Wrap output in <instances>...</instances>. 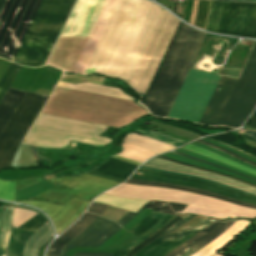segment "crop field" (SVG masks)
<instances>
[{"label":"crop field","instance_id":"1","mask_svg":"<svg viewBox=\"0 0 256 256\" xmlns=\"http://www.w3.org/2000/svg\"><path fill=\"white\" fill-rule=\"evenodd\" d=\"M207 34L181 23L143 103L166 117Z\"/></svg>","mask_w":256,"mask_h":256},{"label":"crop field","instance_id":"2","mask_svg":"<svg viewBox=\"0 0 256 256\" xmlns=\"http://www.w3.org/2000/svg\"><path fill=\"white\" fill-rule=\"evenodd\" d=\"M219 75L191 69L168 116L198 122ZM237 79L221 76L198 123L214 126Z\"/></svg>","mask_w":256,"mask_h":256},{"label":"crop field","instance_id":"3","mask_svg":"<svg viewBox=\"0 0 256 256\" xmlns=\"http://www.w3.org/2000/svg\"><path fill=\"white\" fill-rule=\"evenodd\" d=\"M75 0H43L15 56L26 64L45 63Z\"/></svg>","mask_w":256,"mask_h":256},{"label":"crop field","instance_id":"4","mask_svg":"<svg viewBox=\"0 0 256 256\" xmlns=\"http://www.w3.org/2000/svg\"><path fill=\"white\" fill-rule=\"evenodd\" d=\"M41 0H3L0 6V55L14 58Z\"/></svg>","mask_w":256,"mask_h":256},{"label":"crop field","instance_id":"5","mask_svg":"<svg viewBox=\"0 0 256 256\" xmlns=\"http://www.w3.org/2000/svg\"><path fill=\"white\" fill-rule=\"evenodd\" d=\"M226 6L211 1L205 30L223 33ZM224 34L256 39V4L228 2Z\"/></svg>","mask_w":256,"mask_h":256},{"label":"crop field","instance_id":"6","mask_svg":"<svg viewBox=\"0 0 256 256\" xmlns=\"http://www.w3.org/2000/svg\"><path fill=\"white\" fill-rule=\"evenodd\" d=\"M256 106V43L216 125L237 128Z\"/></svg>","mask_w":256,"mask_h":256},{"label":"crop field","instance_id":"7","mask_svg":"<svg viewBox=\"0 0 256 256\" xmlns=\"http://www.w3.org/2000/svg\"><path fill=\"white\" fill-rule=\"evenodd\" d=\"M47 96L26 92L0 134V168H8L19 143Z\"/></svg>","mask_w":256,"mask_h":256},{"label":"crop field","instance_id":"8","mask_svg":"<svg viewBox=\"0 0 256 256\" xmlns=\"http://www.w3.org/2000/svg\"><path fill=\"white\" fill-rule=\"evenodd\" d=\"M57 186L30 199L50 200L59 204L67 203L74 196L91 201L98 194L120 184L107 179L82 174L46 180Z\"/></svg>","mask_w":256,"mask_h":256},{"label":"crop field","instance_id":"9","mask_svg":"<svg viewBox=\"0 0 256 256\" xmlns=\"http://www.w3.org/2000/svg\"><path fill=\"white\" fill-rule=\"evenodd\" d=\"M136 172L144 173L143 175L136 174ZM130 178L140 179V180H148V181H156V182H169L174 184H179L187 187L198 188L206 191L215 192L221 195H225L231 198H235L241 201L249 202L252 204H256V197L249 196L247 194H243L234 190H230L218 185H215L211 182L192 179L188 177H183L179 175H172L160 172L149 171L145 169L138 168Z\"/></svg>","mask_w":256,"mask_h":256},{"label":"crop field","instance_id":"10","mask_svg":"<svg viewBox=\"0 0 256 256\" xmlns=\"http://www.w3.org/2000/svg\"><path fill=\"white\" fill-rule=\"evenodd\" d=\"M18 203L33 205L44 211L52 220L57 234L73 223L89 204L88 201L76 197L64 206L38 201H23Z\"/></svg>","mask_w":256,"mask_h":256},{"label":"crop field","instance_id":"11","mask_svg":"<svg viewBox=\"0 0 256 256\" xmlns=\"http://www.w3.org/2000/svg\"><path fill=\"white\" fill-rule=\"evenodd\" d=\"M213 220H208L201 226H197L194 228L186 229L183 231H180L178 233L166 236L170 232H172L174 229L182 225L184 222L183 219L180 220L178 223H176L174 226H172L170 229H168L165 233H163L160 237H158L156 240H154L152 243L147 245L144 249H142L139 253H137L135 256H164L167 253H169L171 250L176 248L177 246L184 243L186 240L191 238L193 235H195L199 230L204 228L206 225H208ZM162 243L161 245H159ZM159 245L158 247H156ZM156 247L155 249H153ZM151 250L150 252L148 250Z\"/></svg>","mask_w":256,"mask_h":256},{"label":"crop field","instance_id":"12","mask_svg":"<svg viewBox=\"0 0 256 256\" xmlns=\"http://www.w3.org/2000/svg\"><path fill=\"white\" fill-rule=\"evenodd\" d=\"M120 229L122 228L115 222L99 217L66 246L62 256H65L68 248L100 246Z\"/></svg>","mask_w":256,"mask_h":256},{"label":"crop field","instance_id":"13","mask_svg":"<svg viewBox=\"0 0 256 256\" xmlns=\"http://www.w3.org/2000/svg\"><path fill=\"white\" fill-rule=\"evenodd\" d=\"M98 216L85 212L81 219L56 238L51 244L47 256H60L66 244L87 228Z\"/></svg>","mask_w":256,"mask_h":256},{"label":"crop field","instance_id":"14","mask_svg":"<svg viewBox=\"0 0 256 256\" xmlns=\"http://www.w3.org/2000/svg\"><path fill=\"white\" fill-rule=\"evenodd\" d=\"M146 164H151V165H156V166H161V167H165V168H170V169H175V170H180V171H185V172H190V173H194V174H198V175H202V176H206V177H210V178H214V179H218L221 181H224L226 183L238 186L240 188L252 191L256 193V188L249 186L247 184H244L240 181L237 180H233L227 177H223L220 175H216V174H212V173H208V172H204L201 170H197V169H193V168H189V167H185L179 164H175L163 159H159V158H152L151 160L145 162Z\"/></svg>","mask_w":256,"mask_h":256},{"label":"crop field","instance_id":"15","mask_svg":"<svg viewBox=\"0 0 256 256\" xmlns=\"http://www.w3.org/2000/svg\"><path fill=\"white\" fill-rule=\"evenodd\" d=\"M138 167V165L130 164L110 157L105 163L98 166L91 172L103 174L116 179L125 181L126 178Z\"/></svg>","mask_w":256,"mask_h":256},{"label":"crop field","instance_id":"16","mask_svg":"<svg viewBox=\"0 0 256 256\" xmlns=\"http://www.w3.org/2000/svg\"><path fill=\"white\" fill-rule=\"evenodd\" d=\"M25 92L9 88L0 103V132L22 99Z\"/></svg>","mask_w":256,"mask_h":256},{"label":"crop field","instance_id":"17","mask_svg":"<svg viewBox=\"0 0 256 256\" xmlns=\"http://www.w3.org/2000/svg\"><path fill=\"white\" fill-rule=\"evenodd\" d=\"M126 183L139 184V185H151V186H159V187H164V188L179 189V190H183V191H187V192L206 195V196L213 197V198H216V199H220V200H224V201H228V202H232V203H235V204H239V205H243V206H246V207L256 209V205L241 202V201L231 199V198H228V197H225V196H221V195H218V194H214V193H210V192H206V191H201V190H197V189H192V188H187V187H183V186H178V185H174V184L155 183V182H147V181H140V180H133V179L127 180Z\"/></svg>","mask_w":256,"mask_h":256},{"label":"crop field","instance_id":"18","mask_svg":"<svg viewBox=\"0 0 256 256\" xmlns=\"http://www.w3.org/2000/svg\"><path fill=\"white\" fill-rule=\"evenodd\" d=\"M52 235L50 224L47 222L31 236L25 246L23 256H38L40 247Z\"/></svg>","mask_w":256,"mask_h":256},{"label":"crop field","instance_id":"19","mask_svg":"<svg viewBox=\"0 0 256 256\" xmlns=\"http://www.w3.org/2000/svg\"><path fill=\"white\" fill-rule=\"evenodd\" d=\"M95 202L108 204L120 208H124L128 211L136 213L146 202L144 200H132V199H124V198H117L108 195H100L97 199L94 200Z\"/></svg>","mask_w":256,"mask_h":256},{"label":"crop field","instance_id":"20","mask_svg":"<svg viewBox=\"0 0 256 256\" xmlns=\"http://www.w3.org/2000/svg\"><path fill=\"white\" fill-rule=\"evenodd\" d=\"M13 206L0 210V256H7L6 247L10 235Z\"/></svg>","mask_w":256,"mask_h":256},{"label":"crop field","instance_id":"21","mask_svg":"<svg viewBox=\"0 0 256 256\" xmlns=\"http://www.w3.org/2000/svg\"><path fill=\"white\" fill-rule=\"evenodd\" d=\"M167 216H168V214L152 211L136 227H134L129 232L140 237L145 232H147L152 227H154L159 222H161Z\"/></svg>","mask_w":256,"mask_h":256},{"label":"crop field","instance_id":"22","mask_svg":"<svg viewBox=\"0 0 256 256\" xmlns=\"http://www.w3.org/2000/svg\"><path fill=\"white\" fill-rule=\"evenodd\" d=\"M182 148H185V149H187V150H190V151H193V152L202 154V155H204V156H207V157H210V158H212V159L218 160V161H220V162H222V163H225V164H227V165H229V166H231V167H234V168H237V169L243 170V171H245V172H248V173H251V174L256 175V171H254V170H252V169H250V168H247V167H245V166H243V165H240V164H238V163H236V162H234V161H232V160H230V159H227V158H225V157H222V156L217 155V154H215V153H212V152H210V151H207V150L198 148V147L193 146V145H191V144H188V145H186V146H183Z\"/></svg>","mask_w":256,"mask_h":256},{"label":"crop field","instance_id":"23","mask_svg":"<svg viewBox=\"0 0 256 256\" xmlns=\"http://www.w3.org/2000/svg\"><path fill=\"white\" fill-rule=\"evenodd\" d=\"M37 165L31 151V147L21 144L11 166L27 167Z\"/></svg>","mask_w":256,"mask_h":256},{"label":"crop field","instance_id":"24","mask_svg":"<svg viewBox=\"0 0 256 256\" xmlns=\"http://www.w3.org/2000/svg\"><path fill=\"white\" fill-rule=\"evenodd\" d=\"M187 205H180L171 202H157L151 201L143 206V208L160 211L168 214L177 215L181 212Z\"/></svg>","mask_w":256,"mask_h":256},{"label":"crop field","instance_id":"25","mask_svg":"<svg viewBox=\"0 0 256 256\" xmlns=\"http://www.w3.org/2000/svg\"><path fill=\"white\" fill-rule=\"evenodd\" d=\"M180 219V217H175L173 220H171L170 222H168L166 225H164L162 228H160L157 232H155L153 235H151L150 237H148L146 240H144L143 242H141L140 244H138L136 247H134L127 256H133L135 255V253L139 250H141L143 247H145L147 244H149L151 241H153L156 237H158L159 235H161L164 231H166L168 228H170L172 225H174L176 222H178Z\"/></svg>","mask_w":256,"mask_h":256},{"label":"crop field","instance_id":"26","mask_svg":"<svg viewBox=\"0 0 256 256\" xmlns=\"http://www.w3.org/2000/svg\"><path fill=\"white\" fill-rule=\"evenodd\" d=\"M20 68V65L11 63L10 67L8 68L2 80L0 81V99L4 95L6 89L8 88V86L10 85L11 81L13 80V78L15 77Z\"/></svg>","mask_w":256,"mask_h":256},{"label":"crop field","instance_id":"27","mask_svg":"<svg viewBox=\"0 0 256 256\" xmlns=\"http://www.w3.org/2000/svg\"><path fill=\"white\" fill-rule=\"evenodd\" d=\"M220 222H222V221L215 220L209 226H207L205 229L199 231L195 236H193L191 239L186 241L184 244H182L181 246H179L178 248H176L175 250H173L172 252H170L166 256H173V255H175L176 253H178L179 251H181L182 249H184L185 247H187L188 245H190L191 243H193L194 241H196L200 237H202L205 234H207L209 231H211Z\"/></svg>","mask_w":256,"mask_h":256},{"label":"crop field","instance_id":"28","mask_svg":"<svg viewBox=\"0 0 256 256\" xmlns=\"http://www.w3.org/2000/svg\"><path fill=\"white\" fill-rule=\"evenodd\" d=\"M175 216L173 215H169L167 218H165L161 223H159L157 226H155L153 229H151L150 231H148L147 233H145L143 236H141L139 239H137L136 241H134L131 245H129L128 247H126L119 256H126L127 253L138 243H140L141 241H143L144 239H146L148 236H150L152 233H154L155 231H157L161 226H163L164 224H166L168 221H170L171 219H173Z\"/></svg>","mask_w":256,"mask_h":256},{"label":"crop field","instance_id":"29","mask_svg":"<svg viewBox=\"0 0 256 256\" xmlns=\"http://www.w3.org/2000/svg\"><path fill=\"white\" fill-rule=\"evenodd\" d=\"M16 181H0V198L13 201Z\"/></svg>","mask_w":256,"mask_h":256},{"label":"crop field","instance_id":"30","mask_svg":"<svg viewBox=\"0 0 256 256\" xmlns=\"http://www.w3.org/2000/svg\"><path fill=\"white\" fill-rule=\"evenodd\" d=\"M135 132L144 134V135H146L148 137H152V138L161 140L163 142L169 143V144L174 145L176 147H179V146H181V145L186 143V142H183V141H180V140H177V139H173V138L167 137V136L162 135L160 133H157V132H155L153 130H151L149 133H147V132H144V131L136 129Z\"/></svg>","mask_w":256,"mask_h":256},{"label":"crop field","instance_id":"31","mask_svg":"<svg viewBox=\"0 0 256 256\" xmlns=\"http://www.w3.org/2000/svg\"><path fill=\"white\" fill-rule=\"evenodd\" d=\"M234 222H236V220H230L224 227H222L219 231H217L215 234H213L212 236H210L208 239H206L205 241H203L202 243H200L198 246H196L195 248H193L192 250L188 251L187 253H185L182 256H190L192 254H194L195 252H197L198 250H200L202 247H204L205 245H207L208 243H210L212 240H214L216 237H218L222 232H224L229 226H231Z\"/></svg>","mask_w":256,"mask_h":256},{"label":"crop field","instance_id":"32","mask_svg":"<svg viewBox=\"0 0 256 256\" xmlns=\"http://www.w3.org/2000/svg\"><path fill=\"white\" fill-rule=\"evenodd\" d=\"M209 139L214 140V141H218V142H221V143H224V144L229 145V146H231L233 148H236V149H238V150H240L242 152H245V153H247V154H249L251 156L256 157V155L252 154L251 152H249V151H247V150H245V149H243V148L233 144L232 142L234 140H236V138H233V137H231V136H229L227 134L209 137Z\"/></svg>","mask_w":256,"mask_h":256},{"label":"crop field","instance_id":"33","mask_svg":"<svg viewBox=\"0 0 256 256\" xmlns=\"http://www.w3.org/2000/svg\"><path fill=\"white\" fill-rule=\"evenodd\" d=\"M229 221V220H228ZM228 221H224L221 224H219L217 227H215L210 233H208L207 235H205L204 237H202L201 239L197 240L196 242H194L193 244H191L190 246H188L187 248H185L184 250H182L181 252H179L178 254H176L175 256H180L183 253L187 252L188 250H190L191 248L195 247L196 245H198L200 242H202L203 240H205L207 237H209L210 235H212L213 233H215L217 230H219L223 225H225Z\"/></svg>","mask_w":256,"mask_h":256},{"label":"crop field","instance_id":"34","mask_svg":"<svg viewBox=\"0 0 256 256\" xmlns=\"http://www.w3.org/2000/svg\"><path fill=\"white\" fill-rule=\"evenodd\" d=\"M31 235V232L23 231L21 237L19 236L20 239L16 245V256H22L24 245Z\"/></svg>","mask_w":256,"mask_h":256},{"label":"crop field","instance_id":"35","mask_svg":"<svg viewBox=\"0 0 256 256\" xmlns=\"http://www.w3.org/2000/svg\"><path fill=\"white\" fill-rule=\"evenodd\" d=\"M43 179H44L43 177H34V178H26V179L18 180L17 185H16V189L23 188L25 186L36 183V182L41 181Z\"/></svg>","mask_w":256,"mask_h":256},{"label":"crop field","instance_id":"36","mask_svg":"<svg viewBox=\"0 0 256 256\" xmlns=\"http://www.w3.org/2000/svg\"><path fill=\"white\" fill-rule=\"evenodd\" d=\"M157 157L163 158V159H166V160L175 162V163H179V164H182V165H185V166H189V167L201 169V170H204V171H208V172L220 174V175H223V176H227V175H224V174H221V173H217V172H214V171H211V170H207V169H204V168H200V167H197V166H193V165H190V164H186V163H183V162H179V161H176V160H172V159H169V158H166V157H162V156H157ZM227 177H230V176H227ZM230 178L237 179V178H234V177H230ZM237 180H240V179H237ZM240 181H242V180H240ZM242 182L247 183V182H245V181H242ZM247 184L252 185V184H250V183H247ZM252 186L256 187L255 185H252Z\"/></svg>","mask_w":256,"mask_h":256},{"label":"crop field","instance_id":"37","mask_svg":"<svg viewBox=\"0 0 256 256\" xmlns=\"http://www.w3.org/2000/svg\"><path fill=\"white\" fill-rule=\"evenodd\" d=\"M171 153H174V154H177V155H181V156H184V157H187V158H190V159H193V160L199 161V162H203V163H206V164H209V165H212V166H215V167H219V168H222V169H225V170L231 171V172H233V173H236V174H239V175L245 176V175H243V174H240V173H238V172H235V171L229 170V169L224 168V167H221V166H219V165H216V164H213V163H210V162H207V161H204V160L198 159V158H194V157H191V156H188V155H185V154H182V153L176 152V151H173V152H171ZM245 177H247V176H245ZM248 178H250V177H248ZM250 179H252V178H250ZM253 180H255V179H253Z\"/></svg>","mask_w":256,"mask_h":256},{"label":"crop field","instance_id":"38","mask_svg":"<svg viewBox=\"0 0 256 256\" xmlns=\"http://www.w3.org/2000/svg\"><path fill=\"white\" fill-rule=\"evenodd\" d=\"M107 207H108L107 205L92 202V204L90 205L87 211H92L100 215L102 212H104L107 209Z\"/></svg>","mask_w":256,"mask_h":256},{"label":"crop field","instance_id":"39","mask_svg":"<svg viewBox=\"0 0 256 256\" xmlns=\"http://www.w3.org/2000/svg\"><path fill=\"white\" fill-rule=\"evenodd\" d=\"M197 141L202 142V143H204V144H207V145H209V146H211V147H214V148H216V149H219V150H221V151H223V152H225V153H227V154H229V155H231V156H233V157H235V158H237V159H239V160H241V161H243V162H246V163L251 164V165H253V166L256 167V164H254V163H252V162H250V161H248V160H246V159H244V158H242V157H240V156H238V155H236V154H234V153H231V152H229V151H227V150H225V149L219 148V147H217V146L211 145V144L206 143V142H203V141H201V140H197Z\"/></svg>","mask_w":256,"mask_h":256},{"label":"crop field","instance_id":"40","mask_svg":"<svg viewBox=\"0 0 256 256\" xmlns=\"http://www.w3.org/2000/svg\"><path fill=\"white\" fill-rule=\"evenodd\" d=\"M140 167H141V168H145V169H149V170L161 171V170L151 169V168H147V167H143V166H140ZM161 172H167V171H161ZM168 173L186 175V174L175 173V172H168ZM187 176H191V175H187ZM192 177H196V176H192ZM196 178H200V177H196ZM200 179H204V178H200ZM204 180H207V179H204ZM208 181H211V180H208ZM211 182H213V183H215V184H218V185L225 186V187H229V188H232V189H236V188H233V187H230V186H227V185H224V184L215 182V181H211ZM236 190H239V189H236ZM239 191L244 192V193H247V194H250V195H253V196H256V195H254V194H251V193H248V192H245V191H242V190H239Z\"/></svg>","mask_w":256,"mask_h":256},{"label":"crop field","instance_id":"41","mask_svg":"<svg viewBox=\"0 0 256 256\" xmlns=\"http://www.w3.org/2000/svg\"><path fill=\"white\" fill-rule=\"evenodd\" d=\"M163 123H168V124H171V125H174V126L183 128V129H185V130H188V131L197 133V134H199V135H201V136L207 135V134H204V133H202V132H200V131H198V130H196L195 128L190 127V126H185V125H180V124H175V123H170V122H163Z\"/></svg>","mask_w":256,"mask_h":256},{"label":"crop field","instance_id":"42","mask_svg":"<svg viewBox=\"0 0 256 256\" xmlns=\"http://www.w3.org/2000/svg\"><path fill=\"white\" fill-rule=\"evenodd\" d=\"M142 208L136 213L129 212L122 220H120L118 223L123 227L127 222H129L135 215H137Z\"/></svg>","mask_w":256,"mask_h":256},{"label":"crop field","instance_id":"43","mask_svg":"<svg viewBox=\"0 0 256 256\" xmlns=\"http://www.w3.org/2000/svg\"><path fill=\"white\" fill-rule=\"evenodd\" d=\"M74 256H112L106 253H76Z\"/></svg>","mask_w":256,"mask_h":256},{"label":"crop field","instance_id":"44","mask_svg":"<svg viewBox=\"0 0 256 256\" xmlns=\"http://www.w3.org/2000/svg\"><path fill=\"white\" fill-rule=\"evenodd\" d=\"M143 166H147V167H151V168H156V169H161V170H167V171H175V170H170V169H165V168H160V167H156V166H151V165H146V164H143ZM175 172H180V171H175ZM181 173H185V172H181ZM186 174H189V173H186ZM191 175H193V174H191ZM197 176V175H196ZM201 177V176H200ZM205 178V177H204ZM207 179H209V178H207ZM211 180H213V179H211ZM215 181H217V180H215ZM218 182H221V181H218ZM221 183H224V182H221ZM224 184H226V183H224ZM227 185H229V184H227ZM230 186H232V185H230ZM233 187H235V186H233ZM236 188H238V187H236ZM240 189V188H239ZM243 190V189H242ZM246 191V190H245ZM249 192V191H248ZM252 193V192H251ZM255 194V193H254Z\"/></svg>","mask_w":256,"mask_h":256},{"label":"crop field","instance_id":"45","mask_svg":"<svg viewBox=\"0 0 256 256\" xmlns=\"http://www.w3.org/2000/svg\"><path fill=\"white\" fill-rule=\"evenodd\" d=\"M241 134L256 141V133L255 132L241 131Z\"/></svg>","mask_w":256,"mask_h":256},{"label":"crop field","instance_id":"46","mask_svg":"<svg viewBox=\"0 0 256 256\" xmlns=\"http://www.w3.org/2000/svg\"><path fill=\"white\" fill-rule=\"evenodd\" d=\"M250 126L256 127V112L253 114Z\"/></svg>","mask_w":256,"mask_h":256},{"label":"crop field","instance_id":"47","mask_svg":"<svg viewBox=\"0 0 256 256\" xmlns=\"http://www.w3.org/2000/svg\"><path fill=\"white\" fill-rule=\"evenodd\" d=\"M87 174H91V175H95V176H99V177H104V178L112 179V180H115V181L120 182V183L123 182V181H119V180H116V179H113V178H109V177H106V176H102V175H98V174H94V173H90V172H87Z\"/></svg>","mask_w":256,"mask_h":256},{"label":"crop field","instance_id":"48","mask_svg":"<svg viewBox=\"0 0 256 256\" xmlns=\"http://www.w3.org/2000/svg\"><path fill=\"white\" fill-rule=\"evenodd\" d=\"M112 157H115V158H118V159H121V160H124V161H128V162L140 165V163H137V162H134V161H131V160H127V159H124V158H121V157H118V156H115V155H113Z\"/></svg>","mask_w":256,"mask_h":256},{"label":"crop field","instance_id":"49","mask_svg":"<svg viewBox=\"0 0 256 256\" xmlns=\"http://www.w3.org/2000/svg\"><path fill=\"white\" fill-rule=\"evenodd\" d=\"M121 250H122V249L116 250L113 256H118Z\"/></svg>","mask_w":256,"mask_h":256},{"label":"crop field","instance_id":"50","mask_svg":"<svg viewBox=\"0 0 256 256\" xmlns=\"http://www.w3.org/2000/svg\"><path fill=\"white\" fill-rule=\"evenodd\" d=\"M1 1V0H0Z\"/></svg>","mask_w":256,"mask_h":256}]
</instances>
